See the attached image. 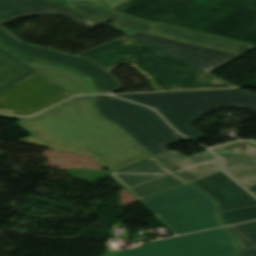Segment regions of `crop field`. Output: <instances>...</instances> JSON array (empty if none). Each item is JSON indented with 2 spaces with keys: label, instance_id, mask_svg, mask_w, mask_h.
<instances>
[{
  "label": "crop field",
  "instance_id": "1",
  "mask_svg": "<svg viewBox=\"0 0 256 256\" xmlns=\"http://www.w3.org/2000/svg\"><path fill=\"white\" fill-rule=\"evenodd\" d=\"M17 124L32 134L17 142L89 155L110 171L153 156L95 114L92 96L66 100Z\"/></svg>",
  "mask_w": 256,
  "mask_h": 256
},
{
  "label": "crop field",
  "instance_id": "2",
  "mask_svg": "<svg viewBox=\"0 0 256 256\" xmlns=\"http://www.w3.org/2000/svg\"><path fill=\"white\" fill-rule=\"evenodd\" d=\"M111 10L256 45V0H129Z\"/></svg>",
  "mask_w": 256,
  "mask_h": 256
},
{
  "label": "crop field",
  "instance_id": "3",
  "mask_svg": "<svg viewBox=\"0 0 256 256\" xmlns=\"http://www.w3.org/2000/svg\"><path fill=\"white\" fill-rule=\"evenodd\" d=\"M37 15H65L89 28L99 23L54 0H0V25ZM0 47L18 57L69 71L81 77L92 93L109 94L121 86L94 61L27 44L1 26Z\"/></svg>",
  "mask_w": 256,
  "mask_h": 256
},
{
  "label": "crop field",
  "instance_id": "4",
  "mask_svg": "<svg viewBox=\"0 0 256 256\" xmlns=\"http://www.w3.org/2000/svg\"><path fill=\"white\" fill-rule=\"evenodd\" d=\"M76 55L95 60L110 72L128 62L150 80L155 91L232 87L127 36Z\"/></svg>",
  "mask_w": 256,
  "mask_h": 256
},
{
  "label": "crop field",
  "instance_id": "5",
  "mask_svg": "<svg viewBox=\"0 0 256 256\" xmlns=\"http://www.w3.org/2000/svg\"><path fill=\"white\" fill-rule=\"evenodd\" d=\"M149 105L162 114L181 134L195 140L204 135L190 124L219 107L241 106L256 112V94L239 89L117 95Z\"/></svg>",
  "mask_w": 256,
  "mask_h": 256
},
{
  "label": "crop field",
  "instance_id": "6",
  "mask_svg": "<svg viewBox=\"0 0 256 256\" xmlns=\"http://www.w3.org/2000/svg\"><path fill=\"white\" fill-rule=\"evenodd\" d=\"M139 202L175 234L222 225L217 203L190 183Z\"/></svg>",
  "mask_w": 256,
  "mask_h": 256
},
{
  "label": "crop field",
  "instance_id": "7",
  "mask_svg": "<svg viewBox=\"0 0 256 256\" xmlns=\"http://www.w3.org/2000/svg\"><path fill=\"white\" fill-rule=\"evenodd\" d=\"M94 98L98 114L115 122L154 155L167 151V144L186 139L149 108L107 95Z\"/></svg>",
  "mask_w": 256,
  "mask_h": 256
},
{
  "label": "crop field",
  "instance_id": "8",
  "mask_svg": "<svg viewBox=\"0 0 256 256\" xmlns=\"http://www.w3.org/2000/svg\"><path fill=\"white\" fill-rule=\"evenodd\" d=\"M239 246L225 228L141 244L132 250H108L103 256H235Z\"/></svg>",
  "mask_w": 256,
  "mask_h": 256
},
{
  "label": "crop field",
  "instance_id": "9",
  "mask_svg": "<svg viewBox=\"0 0 256 256\" xmlns=\"http://www.w3.org/2000/svg\"><path fill=\"white\" fill-rule=\"evenodd\" d=\"M73 96L41 73L0 93V112L28 116Z\"/></svg>",
  "mask_w": 256,
  "mask_h": 256
},
{
  "label": "crop field",
  "instance_id": "10",
  "mask_svg": "<svg viewBox=\"0 0 256 256\" xmlns=\"http://www.w3.org/2000/svg\"><path fill=\"white\" fill-rule=\"evenodd\" d=\"M138 201L188 183L166 169L154 156L111 173Z\"/></svg>",
  "mask_w": 256,
  "mask_h": 256
},
{
  "label": "crop field",
  "instance_id": "11",
  "mask_svg": "<svg viewBox=\"0 0 256 256\" xmlns=\"http://www.w3.org/2000/svg\"><path fill=\"white\" fill-rule=\"evenodd\" d=\"M132 37L143 41L163 45L188 54L178 58L204 72H209L224 63L238 57V55L213 50L197 45L159 38L153 35L135 32Z\"/></svg>",
  "mask_w": 256,
  "mask_h": 256
},
{
  "label": "crop field",
  "instance_id": "12",
  "mask_svg": "<svg viewBox=\"0 0 256 256\" xmlns=\"http://www.w3.org/2000/svg\"><path fill=\"white\" fill-rule=\"evenodd\" d=\"M219 202L220 212L256 204V199L221 172L192 182Z\"/></svg>",
  "mask_w": 256,
  "mask_h": 256
},
{
  "label": "crop field",
  "instance_id": "13",
  "mask_svg": "<svg viewBox=\"0 0 256 256\" xmlns=\"http://www.w3.org/2000/svg\"><path fill=\"white\" fill-rule=\"evenodd\" d=\"M156 157L166 167L190 182L221 172L213 154L209 151L188 158L173 151H167Z\"/></svg>",
  "mask_w": 256,
  "mask_h": 256
},
{
  "label": "crop field",
  "instance_id": "14",
  "mask_svg": "<svg viewBox=\"0 0 256 256\" xmlns=\"http://www.w3.org/2000/svg\"><path fill=\"white\" fill-rule=\"evenodd\" d=\"M67 6L125 34L131 36L135 31L155 35L152 24L134 17L114 12L85 2H72ZM111 20L112 24L105 23Z\"/></svg>",
  "mask_w": 256,
  "mask_h": 256
},
{
  "label": "crop field",
  "instance_id": "15",
  "mask_svg": "<svg viewBox=\"0 0 256 256\" xmlns=\"http://www.w3.org/2000/svg\"><path fill=\"white\" fill-rule=\"evenodd\" d=\"M155 24V28L157 31V34L160 36L181 40L193 44H198L202 46L212 47L216 49H221L225 51L235 52L242 54L246 52L247 50L251 49L247 47L249 44L207 35L203 33L183 30L179 28L164 26L160 24Z\"/></svg>",
  "mask_w": 256,
  "mask_h": 256
},
{
  "label": "crop field",
  "instance_id": "16",
  "mask_svg": "<svg viewBox=\"0 0 256 256\" xmlns=\"http://www.w3.org/2000/svg\"><path fill=\"white\" fill-rule=\"evenodd\" d=\"M222 167L246 189L256 185V158L212 149Z\"/></svg>",
  "mask_w": 256,
  "mask_h": 256
},
{
  "label": "crop field",
  "instance_id": "17",
  "mask_svg": "<svg viewBox=\"0 0 256 256\" xmlns=\"http://www.w3.org/2000/svg\"><path fill=\"white\" fill-rule=\"evenodd\" d=\"M36 72L38 71L0 49V92Z\"/></svg>",
  "mask_w": 256,
  "mask_h": 256
},
{
  "label": "crop field",
  "instance_id": "18",
  "mask_svg": "<svg viewBox=\"0 0 256 256\" xmlns=\"http://www.w3.org/2000/svg\"><path fill=\"white\" fill-rule=\"evenodd\" d=\"M28 65L32 66L51 80L55 81L74 95L76 94H89L88 90L85 88L83 85L82 81L80 78L77 76L61 71L58 69L50 68L47 66H43L40 64L32 63L29 61L22 60Z\"/></svg>",
  "mask_w": 256,
  "mask_h": 256
},
{
  "label": "crop field",
  "instance_id": "19",
  "mask_svg": "<svg viewBox=\"0 0 256 256\" xmlns=\"http://www.w3.org/2000/svg\"><path fill=\"white\" fill-rule=\"evenodd\" d=\"M239 242L237 256H256V221L227 227Z\"/></svg>",
  "mask_w": 256,
  "mask_h": 256
},
{
  "label": "crop field",
  "instance_id": "20",
  "mask_svg": "<svg viewBox=\"0 0 256 256\" xmlns=\"http://www.w3.org/2000/svg\"><path fill=\"white\" fill-rule=\"evenodd\" d=\"M220 214L224 225L247 221L251 219H256V206L222 212Z\"/></svg>",
  "mask_w": 256,
  "mask_h": 256
},
{
  "label": "crop field",
  "instance_id": "21",
  "mask_svg": "<svg viewBox=\"0 0 256 256\" xmlns=\"http://www.w3.org/2000/svg\"><path fill=\"white\" fill-rule=\"evenodd\" d=\"M216 148L256 157V142L238 141Z\"/></svg>",
  "mask_w": 256,
  "mask_h": 256
},
{
  "label": "crop field",
  "instance_id": "22",
  "mask_svg": "<svg viewBox=\"0 0 256 256\" xmlns=\"http://www.w3.org/2000/svg\"><path fill=\"white\" fill-rule=\"evenodd\" d=\"M62 4H67V3H70L72 1H85V2H88L90 4H94V5H97V6H101V7H104V8H112L126 0H56Z\"/></svg>",
  "mask_w": 256,
  "mask_h": 256
},
{
  "label": "crop field",
  "instance_id": "23",
  "mask_svg": "<svg viewBox=\"0 0 256 256\" xmlns=\"http://www.w3.org/2000/svg\"><path fill=\"white\" fill-rule=\"evenodd\" d=\"M144 43L149 44L151 46H154L155 48H157V49H159V50H161L163 52H167V53H169V54H171V55H173V56H175L177 58L182 56V55H184V54H186V53H183V52H179V51H176V50H173V49H169V48H166V47H162V46H158V45H155V44H151V43H147V42H144Z\"/></svg>",
  "mask_w": 256,
  "mask_h": 256
},
{
  "label": "crop field",
  "instance_id": "24",
  "mask_svg": "<svg viewBox=\"0 0 256 256\" xmlns=\"http://www.w3.org/2000/svg\"><path fill=\"white\" fill-rule=\"evenodd\" d=\"M0 117H6V118H12V119H18V120L23 119V118H19V117H13V116L1 115V114H0Z\"/></svg>",
  "mask_w": 256,
  "mask_h": 256
},
{
  "label": "crop field",
  "instance_id": "25",
  "mask_svg": "<svg viewBox=\"0 0 256 256\" xmlns=\"http://www.w3.org/2000/svg\"><path fill=\"white\" fill-rule=\"evenodd\" d=\"M248 190H253V191H255L256 192V186H253V187H251L250 189H248Z\"/></svg>",
  "mask_w": 256,
  "mask_h": 256
},
{
  "label": "crop field",
  "instance_id": "26",
  "mask_svg": "<svg viewBox=\"0 0 256 256\" xmlns=\"http://www.w3.org/2000/svg\"><path fill=\"white\" fill-rule=\"evenodd\" d=\"M252 192V191H251ZM252 193H254L255 195H256V193L255 192H252Z\"/></svg>",
  "mask_w": 256,
  "mask_h": 256
}]
</instances>
